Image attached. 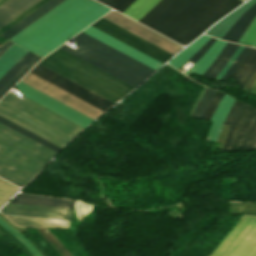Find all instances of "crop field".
Returning <instances> with one entry per match:
<instances>
[{
	"label": "crop field",
	"mask_w": 256,
	"mask_h": 256,
	"mask_svg": "<svg viewBox=\"0 0 256 256\" xmlns=\"http://www.w3.org/2000/svg\"><path fill=\"white\" fill-rule=\"evenodd\" d=\"M68 42L79 48H59L135 87L155 71L82 32ZM59 48L39 63L115 103L135 88Z\"/></svg>",
	"instance_id": "8a807250"
},
{
	"label": "crop field",
	"mask_w": 256,
	"mask_h": 256,
	"mask_svg": "<svg viewBox=\"0 0 256 256\" xmlns=\"http://www.w3.org/2000/svg\"><path fill=\"white\" fill-rule=\"evenodd\" d=\"M242 0H160L138 22L188 44Z\"/></svg>",
	"instance_id": "ac0d7876"
},
{
	"label": "crop field",
	"mask_w": 256,
	"mask_h": 256,
	"mask_svg": "<svg viewBox=\"0 0 256 256\" xmlns=\"http://www.w3.org/2000/svg\"><path fill=\"white\" fill-rule=\"evenodd\" d=\"M56 153L0 123V177L7 181L26 185Z\"/></svg>",
	"instance_id": "34b2d1b8"
},
{
	"label": "crop field",
	"mask_w": 256,
	"mask_h": 256,
	"mask_svg": "<svg viewBox=\"0 0 256 256\" xmlns=\"http://www.w3.org/2000/svg\"><path fill=\"white\" fill-rule=\"evenodd\" d=\"M99 6L90 0H65L11 40L35 52Z\"/></svg>",
	"instance_id": "412701ff"
},
{
	"label": "crop field",
	"mask_w": 256,
	"mask_h": 256,
	"mask_svg": "<svg viewBox=\"0 0 256 256\" xmlns=\"http://www.w3.org/2000/svg\"><path fill=\"white\" fill-rule=\"evenodd\" d=\"M224 124L231 125L222 151H256V110L235 100Z\"/></svg>",
	"instance_id": "f4fd0767"
},
{
	"label": "crop field",
	"mask_w": 256,
	"mask_h": 256,
	"mask_svg": "<svg viewBox=\"0 0 256 256\" xmlns=\"http://www.w3.org/2000/svg\"><path fill=\"white\" fill-rule=\"evenodd\" d=\"M208 256H256V217L242 215Z\"/></svg>",
	"instance_id": "dd49c442"
},
{
	"label": "crop field",
	"mask_w": 256,
	"mask_h": 256,
	"mask_svg": "<svg viewBox=\"0 0 256 256\" xmlns=\"http://www.w3.org/2000/svg\"><path fill=\"white\" fill-rule=\"evenodd\" d=\"M30 73L104 111L115 104L39 63Z\"/></svg>",
	"instance_id": "e52e79f7"
},
{
	"label": "crop field",
	"mask_w": 256,
	"mask_h": 256,
	"mask_svg": "<svg viewBox=\"0 0 256 256\" xmlns=\"http://www.w3.org/2000/svg\"><path fill=\"white\" fill-rule=\"evenodd\" d=\"M103 18V17H102ZM99 19L97 22H95L93 27L115 37L116 39L138 49L139 51L161 61L166 62L169 58H171L173 55L155 47L154 45L138 38L137 36L119 28L118 26L104 20Z\"/></svg>",
	"instance_id": "d8731c3e"
},
{
	"label": "crop field",
	"mask_w": 256,
	"mask_h": 256,
	"mask_svg": "<svg viewBox=\"0 0 256 256\" xmlns=\"http://www.w3.org/2000/svg\"><path fill=\"white\" fill-rule=\"evenodd\" d=\"M29 73L21 80L22 82L36 88L37 90L64 103L65 105L77 110L78 112L90 117L93 120L103 113L102 111L50 85L49 83L31 75L32 73L31 74Z\"/></svg>",
	"instance_id": "5a996713"
},
{
	"label": "crop field",
	"mask_w": 256,
	"mask_h": 256,
	"mask_svg": "<svg viewBox=\"0 0 256 256\" xmlns=\"http://www.w3.org/2000/svg\"><path fill=\"white\" fill-rule=\"evenodd\" d=\"M103 18L141 37L142 39L158 46L159 48L173 55L182 48V46L160 36L159 34L139 25L138 23L116 12H110L107 15H105Z\"/></svg>",
	"instance_id": "3316defc"
},
{
	"label": "crop field",
	"mask_w": 256,
	"mask_h": 256,
	"mask_svg": "<svg viewBox=\"0 0 256 256\" xmlns=\"http://www.w3.org/2000/svg\"><path fill=\"white\" fill-rule=\"evenodd\" d=\"M1 101L19 109L20 111L72 138L81 131L9 92Z\"/></svg>",
	"instance_id": "28ad6ade"
},
{
	"label": "crop field",
	"mask_w": 256,
	"mask_h": 256,
	"mask_svg": "<svg viewBox=\"0 0 256 256\" xmlns=\"http://www.w3.org/2000/svg\"><path fill=\"white\" fill-rule=\"evenodd\" d=\"M14 88L23 92L24 93L23 96L53 110L54 112L84 127L93 121L20 82Z\"/></svg>",
	"instance_id": "d1516ede"
},
{
	"label": "crop field",
	"mask_w": 256,
	"mask_h": 256,
	"mask_svg": "<svg viewBox=\"0 0 256 256\" xmlns=\"http://www.w3.org/2000/svg\"><path fill=\"white\" fill-rule=\"evenodd\" d=\"M3 214L70 220L73 209L8 203Z\"/></svg>",
	"instance_id": "22f410ed"
},
{
	"label": "crop field",
	"mask_w": 256,
	"mask_h": 256,
	"mask_svg": "<svg viewBox=\"0 0 256 256\" xmlns=\"http://www.w3.org/2000/svg\"><path fill=\"white\" fill-rule=\"evenodd\" d=\"M82 32L100 40L101 42L119 50L120 52L136 59L137 61L155 70L163 64L91 26L86 28Z\"/></svg>",
	"instance_id": "cbeb9de0"
},
{
	"label": "crop field",
	"mask_w": 256,
	"mask_h": 256,
	"mask_svg": "<svg viewBox=\"0 0 256 256\" xmlns=\"http://www.w3.org/2000/svg\"><path fill=\"white\" fill-rule=\"evenodd\" d=\"M108 10L110 9L102 5L97 10L89 14L87 17L79 21L77 24L69 28L67 31L59 35L57 38L49 42L47 45H45L35 53L41 56L46 55L48 52L56 48L58 45L66 41L68 38L76 34L78 31L86 27L88 24H90L91 22L96 20L98 17L106 13Z\"/></svg>",
	"instance_id": "5142ce71"
},
{
	"label": "crop field",
	"mask_w": 256,
	"mask_h": 256,
	"mask_svg": "<svg viewBox=\"0 0 256 256\" xmlns=\"http://www.w3.org/2000/svg\"><path fill=\"white\" fill-rule=\"evenodd\" d=\"M63 0H49L47 3L36 9L34 12L20 20L18 23L7 29L5 32H3L1 35L12 38L14 35L19 33L21 30L26 28L28 25L33 23L35 20L40 18L42 15H44L46 12L51 10L53 7L58 5Z\"/></svg>",
	"instance_id": "d9b57169"
},
{
	"label": "crop field",
	"mask_w": 256,
	"mask_h": 256,
	"mask_svg": "<svg viewBox=\"0 0 256 256\" xmlns=\"http://www.w3.org/2000/svg\"><path fill=\"white\" fill-rule=\"evenodd\" d=\"M39 0H8L0 6V28Z\"/></svg>",
	"instance_id": "733c2abd"
},
{
	"label": "crop field",
	"mask_w": 256,
	"mask_h": 256,
	"mask_svg": "<svg viewBox=\"0 0 256 256\" xmlns=\"http://www.w3.org/2000/svg\"><path fill=\"white\" fill-rule=\"evenodd\" d=\"M16 226L69 228L70 221L5 215Z\"/></svg>",
	"instance_id": "4a817a6b"
},
{
	"label": "crop field",
	"mask_w": 256,
	"mask_h": 256,
	"mask_svg": "<svg viewBox=\"0 0 256 256\" xmlns=\"http://www.w3.org/2000/svg\"><path fill=\"white\" fill-rule=\"evenodd\" d=\"M256 70V49L252 48L249 54L237 67L235 72L232 74V78L235 79L239 85L238 88L242 89L248 79Z\"/></svg>",
	"instance_id": "bc2a9ffb"
},
{
	"label": "crop field",
	"mask_w": 256,
	"mask_h": 256,
	"mask_svg": "<svg viewBox=\"0 0 256 256\" xmlns=\"http://www.w3.org/2000/svg\"><path fill=\"white\" fill-rule=\"evenodd\" d=\"M10 202L73 208L75 201L17 194Z\"/></svg>",
	"instance_id": "214f88e0"
},
{
	"label": "crop field",
	"mask_w": 256,
	"mask_h": 256,
	"mask_svg": "<svg viewBox=\"0 0 256 256\" xmlns=\"http://www.w3.org/2000/svg\"><path fill=\"white\" fill-rule=\"evenodd\" d=\"M234 99L230 98L227 95H224L219 105L217 106L211 120L214 121L210 132L208 134V139L217 140L220 129L222 127V123L232 105Z\"/></svg>",
	"instance_id": "92a150f3"
},
{
	"label": "crop field",
	"mask_w": 256,
	"mask_h": 256,
	"mask_svg": "<svg viewBox=\"0 0 256 256\" xmlns=\"http://www.w3.org/2000/svg\"><path fill=\"white\" fill-rule=\"evenodd\" d=\"M225 44L226 42L216 39L205 55L203 54L204 56L191 69L185 72V74L188 76L192 73L201 75L214 62Z\"/></svg>",
	"instance_id": "dafd665d"
},
{
	"label": "crop field",
	"mask_w": 256,
	"mask_h": 256,
	"mask_svg": "<svg viewBox=\"0 0 256 256\" xmlns=\"http://www.w3.org/2000/svg\"><path fill=\"white\" fill-rule=\"evenodd\" d=\"M256 3V2H255ZM256 16V4H254L251 8H249L232 26V28L225 34L222 38L223 40L234 41L237 43L239 38L247 29L250 22Z\"/></svg>",
	"instance_id": "00972430"
},
{
	"label": "crop field",
	"mask_w": 256,
	"mask_h": 256,
	"mask_svg": "<svg viewBox=\"0 0 256 256\" xmlns=\"http://www.w3.org/2000/svg\"><path fill=\"white\" fill-rule=\"evenodd\" d=\"M256 0H250L246 4H244L242 7L237 9L235 12H233L231 15L226 17L221 22L217 23L213 28H211L206 34L216 36L218 38H222V36L226 33V31L231 27V25L235 22V20L244 13L249 7H251Z\"/></svg>",
	"instance_id": "a9b5d70f"
},
{
	"label": "crop field",
	"mask_w": 256,
	"mask_h": 256,
	"mask_svg": "<svg viewBox=\"0 0 256 256\" xmlns=\"http://www.w3.org/2000/svg\"><path fill=\"white\" fill-rule=\"evenodd\" d=\"M238 47L237 44L228 43L225 45L224 49L212 64V66L202 74V76L214 79L216 75L221 71V69L225 66L228 62L236 48Z\"/></svg>",
	"instance_id": "4177f3b9"
},
{
	"label": "crop field",
	"mask_w": 256,
	"mask_h": 256,
	"mask_svg": "<svg viewBox=\"0 0 256 256\" xmlns=\"http://www.w3.org/2000/svg\"><path fill=\"white\" fill-rule=\"evenodd\" d=\"M27 52V50L13 44L0 57V78Z\"/></svg>",
	"instance_id": "730fd06b"
},
{
	"label": "crop field",
	"mask_w": 256,
	"mask_h": 256,
	"mask_svg": "<svg viewBox=\"0 0 256 256\" xmlns=\"http://www.w3.org/2000/svg\"><path fill=\"white\" fill-rule=\"evenodd\" d=\"M210 37L202 35L198 40L185 48L180 52L174 59H172L169 64L174 68L181 66L188 58H190L198 49H200Z\"/></svg>",
	"instance_id": "eef30255"
},
{
	"label": "crop field",
	"mask_w": 256,
	"mask_h": 256,
	"mask_svg": "<svg viewBox=\"0 0 256 256\" xmlns=\"http://www.w3.org/2000/svg\"><path fill=\"white\" fill-rule=\"evenodd\" d=\"M159 0H136L129 6L123 14L139 20L145 13H147Z\"/></svg>",
	"instance_id": "ae1a2a85"
},
{
	"label": "crop field",
	"mask_w": 256,
	"mask_h": 256,
	"mask_svg": "<svg viewBox=\"0 0 256 256\" xmlns=\"http://www.w3.org/2000/svg\"><path fill=\"white\" fill-rule=\"evenodd\" d=\"M0 111L8 114L9 116H11V117L21 121L22 123H24V124L34 128V129H36L37 131H39V132L49 136L50 138H52V139H54V140H56V141H58V142H60V143H62L64 145L69 142V141H67V140H65V139H63V138H61V137L51 133L50 131H48V130H46V129H44V128L36 125V124H34L33 122H31V121H29V120H27V119H25V118L15 114L14 112H12V111H10V110L2 107V106H0Z\"/></svg>",
	"instance_id": "d3111659"
},
{
	"label": "crop field",
	"mask_w": 256,
	"mask_h": 256,
	"mask_svg": "<svg viewBox=\"0 0 256 256\" xmlns=\"http://www.w3.org/2000/svg\"><path fill=\"white\" fill-rule=\"evenodd\" d=\"M40 59V57L35 55L17 74H15L0 89V98L4 96Z\"/></svg>",
	"instance_id": "750c4746"
},
{
	"label": "crop field",
	"mask_w": 256,
	"mask_h": 256,
	"mask_svg": "<svg viewBox=\"0 0 256 256\" xmlns=\"http://www.w3.org/2000/svg\"><path fill=\"white\" fill-rule=\"evenodd\" d=\"M0 122L4 123L5 125H7V126L13 128L15 130L21 132L22 134H24V135H26V136H28V137H30V138L40 142L41 144H43V145H45V146H47V147H49V148H51V149H53V150H55L57 152L61 149V148H59V147H57V146H55V145H53V144L43 140L42 138H40V137H38V136H36V135L26 131L25 129H23V128H21V127L15 125L13 123L7 121L6 119H4L2 117H0Z\"/></svg>",
	"instance_id": "bd1437ed"
},
{
	"label": "crop field",
	"mask_w": 256,
	"mask_h": 256,
	"mask_svg": "<svg viewBox=\"0 0 256 256\" xmlns=\"http://www.w3.org/2000/svg\"><path fill=\"white\" fill-rule=\"evenodd\" d=\"M35 54L27 52L1 79L0 88L18 72Z\"/></svg>",
	"instance_id": "1d83c4d3"
},
{
	"label": "crop field",
	"mask_w": 256,
	"mask_h": 256,
	"mask_svg": "<svg viewBox=\"0 0 256 256\" xmlns=\"http://www.w3.org/2000/svg\"><path fill=\"white\" fill-rule=\"evenodd\" d=\"M19 188L0 179V206L5 203Z\"/></svg>",
	"instance_id": "120bbe31"
},
{
	"label": "crop field",
	"mask_w": 256,
	"mask_h": 256,
	"mask_svg": "<svg viewBox=\"0 0 256 256\" xmlns=\"http://www.w3.org/2000/svg\"><path fill=\"white\" fill-rule=\"evenodd\" d=\"M0 225L4 227L7 231H9L12 235H14L17 239H19L31 252L34 256H41L34 247L18 232H16L12 227H10L4 220L0 218Z\"/></svg>",
	"instance_id": "d32e631a"
},
{
	"label": "crop field",
	"mask_w": 256,
	"mask_h": 256,
	"mask_svg": "<svg viewBox=\"0 0 256 256\" xmlns=\"http://www.w3.org/2000/svg\"><path fill=\"white\" fill-rule=\"evenodd\" d=\"M215 93H216L215 91H210V90L206 89L205 93L201 97V99H200V101H199V103H198V105L195 109V111L198 109L197 112L195 113V111H194V113H195L194 116H198V117L201 118V116H202L204 110L206 109L209 101L212 99V97L215 95Z\"/></svg>",
	"instance_id": "5866460e"
},
{
	"label": "crop field",
	"mask_w": 256,
	"mask_h": 256,
	"mask_svg": "<svg viewBox=\"0 0 256 256\" xmlns=\"http://www.w3.org/2000/svg\"><path fill=\"white\" fill-rule=\"evenodd\" d=\"M0 105H2V106H4V107H6V108H8V109H10V110H12V111H14V112H16L17 114H19V115H21V116H23V117H25V118H27V119L33 121L34 123H36V124H38V125H40V126L46 128V129L52 131L53 133H55V134H57V135H59V136L65 138V139H67V140H69V141L72 139V138H70V137H68V136H66V135H64V134H62V133H60V132L54 130L53 128H51V127H49V126H47V125H45V124H43V123L37 121L36 119H34V118H32V117H30V116H28V115H26V114H24V113L18 111L17 109H15V108H13V107H11V106H9V105H7V104L1 102V101H0Z\"/></svg>",
	"instance_id": "028f5c9d"
},
{
	"label": "crop field",
	"mask_w": 256,
	"mask_h": 256,
	"mask_svg": "<svg viewBox=\"0 0 256 256\" xmlns=\"http://www.w3.org/2000/svg\"><path fill=\"white\" fill-rule=\"evenodd\" d=\"M255 38H256V17L251 22L250 26L248 27V29L246 30V32L243 34V36L241 37V39L239 41L252 44V42L255 40ZM240 42H238V43L250 46L249 44H244V43H240Z\"/></svg>",
	"instance_id": "e1f06a70"
},
{
	"label": "crop field",
	"mask_w": 256,
	"mask_h": 256,
	"mask_svg": "<svg viewBox=\"0 0 256 256\" xmlns=\"http://www.w3.org/2000/svg\"><path fill=\"white\" fill-rule=\"evenodd\" d=\"M0 116H2V117H4V118L8 119L9 121H11V122H13V123H15V124H17V125H19V126L25 128L26 130H28V131H30V132H32V133H34V134H36V135H38V136L44 138L45 140H47V141H49V142H51V143H53V144H55V145H57V146H59V147H61V148L64 146V145H62V144H60V143H58V142H56V141L50 139L49 137H47V136H45V135H43V134L37 132L36 130H34V129H32V128H30V127H28V126L22 124L21 122H19V121L13 119V118H11V117H9L8 115H6V114H4V113H2V112H0Z\"/></svg>",
	"instance_id": "0bd39190"
},
{
	"label": "crop field",
	"mask_w": 256,
	"mask_h": 256,
	"mask_svg": "<svg viewBox=\"0 0 256 256\" xmlns=\"http://www.w3.org/2000/svg\"><path fill=\"white\" fill-rule=\"evenodd\" d=\"M251 48L245 46L239 57L234 61V63L229 67V69L226 71L224 76L221 78V80L226 81L230 75L233 73L235 68L239 65V63L244 59V57L247 55V53L250 51Z\"/></svg>",
	"instance_id": "b80d0937"
},
{
	"label": "crop field",
	"mask_w": 256,
	"mask_h": 256,
	"mask_svg": "<svg viewBox=\"0 0 256 256\" xmlns=\"http://www.w3.org/2000/svg\"><path fill=\"white\" fill-rule=\"evenodd\" d=\"M48 0H41L38 3H36L35 5H33L31 8H29L28 10H26L24 13H22L21 15H19L18 17H16L14 20H12L11 22H9L7 25H5L4 27H2L0 29V33H2L3 31H5L7 28H9L10 26H12L13 24H15L16 22H18L20 19H22L23 17H25L26 15H28L29 13H31L33 10H35L36 8H38L39 6H41L42 4H44L45 2H47Z\"/></svg>",
	"instance_id": "c035e120"
},
{
	"label": "crop field",
	"mask_w": 256,
	"mask_h": 256,
	"mask_svg": "<svg viewBox=\"0 0 256 256\" xmlns=\"http://www.w3.org/2000/svg\"><path fill=\"white\" fill-rule=\"evenodd\" d=\"M225 95V94H224ZM223 93L217 92L216 95L213 97V99L211 100L203 118L204 119H208L210 120L217 104L219 103L220 99L222 98ZM222 100V99H221ZM219 105V104H218Z\"/></svg>",
	"instance_id": "c21b1889"
},
{
	"label": "crop field",
	"mask_w": 256,
	"mask_h": 256,
	"mask_svg": "<svg viewBox=\"0 0 256 256\" xmlns=\"http://www.w3.org/2000/svg\"><path fill=\"white\" fill-rule=\"evenodd\" d=\"M135 0H112L108 6L114 8L119 12H123L129 5H131Z\"/></svg>",
	"instance_id": "03da06ac"
},
{
	"label": "crop field",
	"mask_w": 256,
	"mask_h": 256,
	"mask_svg": "<svg viewBox=\"0 0 256 256\" xmlns=\"http://www.w3.org/2000/svg\"><path fill=\"white\" fill-rule=\"evenodd\" d=\"M0 232L6 236L8 239H10L14 244H16L27 256H33L30 251L14 236H12L10 233H8L4 228L0 226Z\"/></svg>",
	"instance_id": "b54c1fbb"
},
{
	"label": "crop field",
	"mask_w": 256,
	"mask_h": 256,
	"mask_svg": "<svg viewBox=\"0 0 256 256\" xmlns=\"http://www.w3.org/2000/svg\"><path fill=\"white\" fill-rule=\"evenodd\" d=\"M9 92H11V91H9ZM11 93H13V92H11ZM13 94H15V93H13ZM15 95H16V94H15ZM17 96H18V95H17ZM19 97H20V96H19ZM21 98H23L24 100H26V101H28V102H30V103H32V104L38 106L39 108H41V109H43V110H45V111L51 113L52 115H54V116H56V117H58V118H60V119H62V120H64V121H66L67 123H69V124H71V125H73V126L79 128V129H81V130L84 128V127H82V126H80V125H78V124H76V123H74V122H72V121H70V120H68V119H66V118H64V117H62V116L56 114V113H54L53 111H51V110H49V109H47V108H45V107H43V106H41V105H39V104H37V103H35V102H33V101H31V100H29V99L23 97V96H21Z\"/></svg>",
	"instance_id": "5d738f31"
},
{
	"label": "crop field",
	"mask_w": 256,
	"mask_h": 256,
	"mask_svg": "<svg viewBox=\"0 0 256 256\" xmlns=\"http://www.w3.org/2000/svg\"><path fill=\"white\" fill-rule=\"evenodd\" d=\"M214 38H211L200 50H198L189 60L192 62H196L198 59H200L203 54L207 51V49L211 46V44L214 42Z\"/></svg>",
	"instance_id": "d23c7cc5"
},
{
	"label": "crop field",
	"mask_w": 256,
	"mask_h": 256,
	"mask_svg": "<svg viewBox=\"0 0 256 256\" xmlns=\"http://www.w3.org/2000/svg\"><path fill=\"white\" fill-rule=\"evenodd\" d=\"M241 213L256 215V203H241Z\"/></svg>",
	"instance_id": "425ffa30"
},
{
	"label": "crop field",
	"mask_w": 256,
	"mask_h": 256,
	"mask_svg": "<svg viewBox=\"0 0 256 256\" xmlns=\"http://www.w3.org/2000/svg\"><path fill=\"white\" fill-rule=\"evenodd\" d=\"M244 48V46L239 45V47L237 48V50L235 51V53L233 54V56L231 57V59L229 60V62L227 63V65L223 68V70L218 74V76L216 77V79H220L221 76L224 74V72L227 70V68L233 63V61L238 57V55L240 54V52L242 51V49Z\"/></svg>",
	"instance_id": "25e5ab78"
},
{
	"label": "crop field",
	"mask_w": 256,
	"mask_h": 256,
	"mask_svg": "<svg viewBox=\"0 0 256 256\" xmlns=\"http://www.w3.org/2000/svg\"><path fill=\"white\" fill-rule=\"evenodd\" d=\"M13 44L11 41H7L0 47V56Z\"/></svg>",
	"instance_id": "73cf0c24"
},
{
	"label": "crop field",
	"mask_w": 256,
	"mask_h": 256,
	"mask_svg": "<svg viewBox=\"0 0 256 256\" xmlns=\"http://www.w3.org/2000/svg\"><path fill=\"white\" fill-rule=\"evenodd\" d=\"M98 1H100V2H102V3L107 5L111 0H98Z\"/></svg>",
	"instance_id": "89e229c0"
},
{
	"label": "crop field",
	"mask_w": 256,
	"mask_h": 256,
	"mask_svg": "<svg viewBox=\"0 0 256 256\" xmlns=\"http://www.w3.org/2000/svg\"><path fill=\"white\" fill-rule=\"evenodd\" d=\"M256 80L254 81V83L252 84V86L250 87V89L248 90V93H250V91L252 90L253 86L255 85Z\"/></svg>",
	"instance_id": "1f2cbd36"
},
{
	"label": "crop field",
	"mask_w": 256,
	"mask_h": 256,
	"mask_svg": "<svg viewBox=\"0 0 256 256\" xmlns=\"http://www.w3.org/2000/svg\"><path fill=\"white\" fill-rule=\"evenodd\" d=\"M252 46H253V47H256V40H255V42L252 44Z\"/></svg>",
	"instance_id": "dbb93151"
},
{
	"label": "crop field",
	"mask_w": 256,
	"mask_h": 256,
	"mask_svg": "<svg viewBox=\"0 0 256 256\" xmlns=\"http://www.w3.org/2000/svg\"><path fill=\"white\" fill-rule=\"evenodd\" d=\"M6 0H0V5L3 3V2H5Z\"/></svg>",
	"instance_id": "0fb4a251"
},
{
	"label": "crop field",
	"mask_w": 256,
	"mask_h": 256,
	"mask_svg": "<svg viewBox=\"0 0 256 256\" xmlns=\"http://www.w3.org/2000/svg\"><path fill=\"white\" fill-rule=\"evenodd\" d=\"M73 256V255H72Z\"/></svg>",
	"instance_id": "1d79db26"
}]
</instances>
